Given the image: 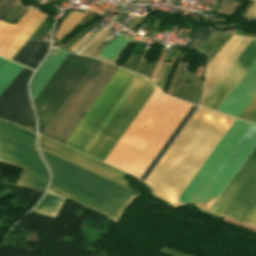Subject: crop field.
I'll return each mask as SVG.
<instances>
[{"instance_id":"4a817a6b","label":"crop field","mask_w":256,"mask_h":256,"mask_svg":"<svg viewBox=\"0 0 256 256\" xmlns=\"http://www.w3.org/2000/svg\"><path fill=\"white\" fill-rule=\"evenodd\" d=\"M176 64L173 63H164V66L162 68V71L156 81V85H158L164 92L166 91L169 81L171 78V75L173 73L174 67Z\"/></svg>"},{"instance_id":"733c2abd","label":"crop field","mask_w":256,"mask_h":256,"mask_svg":"<svg viewBox=\"0 0 256 256\" xmlns=\"http://www.w3.org/2000/svg\"><path fill=\"white\" fill-rule=\"evenodd\" d=\"M129 40L128 36L124 34H120L118 37H116L109 45H107L100 53L99 55L111 61L113 57L120 51V49L127 43ZM122 50V49H121ZM116 57V56H115ZM114 57V58H115Z\"/></svg>"},{"instance_id":"22f410ed","label":"crop field","mask_w":256,"mask_h":256,"mask_svg":"<svg viewBox=\"0 0 256 256\" xmlns=\"http://www.w3.org/2000/svg\"><path fill=\"white\" fill-rule=\"evenodd\" d=\"M66 55L67 53L55 49L50 51L48 57L31 80L30 89L33 101L39 95Z\"/></svg>"},{"instance_id":"d8731c3e","label":"crop field","mask_w":256,"mask_h":256,"mask_svg":"<svg viewBox=\"0 0 256 256\" xmlns=\"http://www.w3.org/2000/svg\"><path fill=\"white\" fill-rule=\"evenodd\" d=\"M94 60L68 53L34 102L40 134Z\"/></svg>"},{"instance_id":"92a150f3","label":"crop field","mask_w":256,"mask_h":256,"mask_svg":"<svg viewBox=\"0 0 256 256\" xmlns=\"http://www.w3.org/2000/svg\"><path fill=\"white\" fill-rule=\"evenodd\" d=\"M239 119H243L246 121L256 123V98L246 108V110L241 114Z\"/></svg>"},{"instance_id":"214f88e0","label":"crop field","mask_w":256,"mask_h":256,"mask_svg":"<svg viewBox=\"0 0 256 256\" xmlns=\"http://www.w3.org/2000/svg\"><path fill=\"white\" fill-rule=\"evenodd\" d=\"M239 2L235 0H223L216 12L231 15L241 5L242 2Z\"/></svg>"},{"instance_id":"ac0d7876","label":"crop field","mask_w":256,"mask_h":256,"mask_svg":"<svg viewBox=\"0 0 256 256\" xmlns=\"http://www.w3.org/2000/svg\"><path fill=\"white\" fill-rule=\"evenodd\" d=\"M233 121L199 108L147 179L155 194L174 204Z\"/></svg>"},{"instance_id":"bc2a9ffb","label":"crop field","mask_w":256,"mask_h":256,"mask_svg":"<svg viewBox=\"0 0 256 256\" xmlns=\"http://www.w3.org/2000/svg\"><path fill=\"white\" fill-rule=\"evenodd\" d=\"M211 32L212 30L199 26L193 36L190 47L197 50Z\"/></svg>"},{"instance_id":"3316defc","label":"crop field","mask_w":256,"mask_h":256,"mask_svg":"<svg viewBox=\"0 0 256 256\" xmlns=\"http://www.w3.org/2000/svg\"><path fill=\"white\" fill-rule=\"evenodd\" d=\"M24 67L0 58V95ZM32 70L25 68L0 96V118L26 126L34 117L27 94V81Z\"/></svg>"},{"instance_id":"34b2d1b8","label":"crop field","mask_w":256,"mask_h":256,"mask_svg":"<svg viewBox=\"0 0 256 256\" xmlns=\"http://www.w3.org/2000/svg\"><path fill=\"white\" fill-rule=\"evenodd\" d=\"M190 107L157 88L105 163L139 179Z\"/></svg>"},{"instance_id":"dafd665d","label":"crop field","mask_w":256,"mask_h":256,"mask_svg":"<svg viewBox=\"0 0 256 256\" xmlns=\"http://www.w3.org/2000/svg\"><path fill=\"white\" fill-rule=\"evenodd\" d=\"M93 33H95V32H93L92 30L89 31L86 35H84L82 38H80L78 41H76L68 50L74 52V51L76 50V48H77L82 42H84L90 35H92Z\"/></svg>"},{"instance_id":"28ad6ade","label":"crop field","mask_w":256,"mask_h":256,"mask_svg":"<svg viewBox=\"0 0 256 256\" xmlns=\"http://www.w3.org/2000/svg\"><path fill=\"white\" fill-rule=\"evenodd\" d=\"M39 146L41 149L52 153L62 159H65L73 164H76L82 168H85L93 173H96L104 178H107L113 182H116L124 187L130 185L127 180L126 174L110 168L104 164L94 161L88 157L78 154L72 150L62 147L56 143L46 140L39 136Z\"/></svg>"},{"instance_id":"d1516ede","label":"crop field","mask_w":256,"mask_h":256,"mask_svg":"<svg viewBox=\"0 0 256 256\" xmlns=\"http://www.w3.org/2000/svg\"><path fill=\"white\" fill-rule=\"evenodd\" d=\"M15 1L16 0H0V18ZM38 14L39 12L29 9L17 25L0 21V56L5 53Z\"/></svg>"},{"instance_id":"dd49c442","label":"crop field","mask_w":256,"mask_h":256,"mask_svg":"<svg viewBox=\"0 0 256 256\" xmlns=\"http://www.w3.org/2000/svg\"><path fill=\"white\" fill-rule=\"evenodd\" d=\"M40 152L52 173L50 189L104 214L116 223L133 200L141 195L129 186L124 188L41 149Z\"/></svg>"},{"instance_id":"e52e79f7","label":"crop field","mask_w":256,"mask_h":256,"mask_svg":"<svg viewBox=\"0 0 256 256\" xmlns=\"http://www.w3.org/2000/svg\"><path fill=\"white\" fill-rule=\"evenodd\" d=\"M0 163L23 168L17 186L44 191L48 173L34 134L0 121Z\"/></svg>"},{"instance_id":"cbeb9de0","label":"crop field","mask_w":256,"mask_h":256,"mask_svg":"<svg viewBox=\"0 0 256 256\" xmlns=\"http://www.w3.org/2000/svg\"><path fill=\"white\" fill-rule=\"evenodd\" d=\"M48 43L27 41L20 51L14 56L12 61L22 64L31 69H36L48 51Z\"/></svg>"},{"instance_id":"f4fd0767","label":"crop field","mask_w":256,"mask_h":256,"mask_svg":"<svg viewBox=\"0 0 256 256\" xmlns=\"http://www.w3.org/2000/svg\"><path fill=\"white\" fill-rule=\"evenodd\" d=\"M255 146L256 125L235 119L173 207L209 211Z\"/></svg>"},{"instance_id":"d9b57169","label":"crop field","mask_w":256,"mask_h":256,"mask_svg":"<svg viewBox=\"0 0 256 256\" xmlns=\"http://www.w3.org/2000/svg\"><path fill=\"white\" fill-rule=\"evenodd\" d=\"M196 106L192 105V107L189 109V111L187 112V114L184 116V118L181 120V122L179 123V125L176 127V129L174 130V132L171 134V136L169 137V139L166 141V143L163 145V147L161 148V150L158 152V154L156 155V157L153 159V161L151 162V164L148 166V168L145 170V172L143 173V175L140 177V180L144 181V179L147 177V175L150 173V171L152 170V168L155 166V164L158 162V160L161 158V156L163 155V153L166 151V149L169 147V145L171 144V142L174 140V138L177 136V134L179 133V131L182 129V127L185 125V123L188 121V119L190 118V116L193 114V112L196 110ZM154 169V168H153ZM146 180V179H145Z\"/></svg>"},{"instance_id":"412701ff","label":"crop field","mask_w":256,"mask_h":256,"mask_svg":"<svg viewBox=\"0 0 256 256\" xmlns=\"http://www.w3.org/2000/svg\"><path fill=\"white\" fill-rule=\"evenodd\" d=\"M252 39L232 35L207 66L204 96L213 88ZM256 62V39L247 46L233 65L202 101L201 106L216 111L243 76ZM256 96V63L231 92L217 112L238 118Z\"/></svg>"},{"instance_id":"5142ce71","label":"crop field","mask_w":256,"mask_h":256,"mask_svg":"<svg viewBox=\"0 0 256 256\" xmlns=\"http://www.w3.org/2000/svg\"><path fill=\"white\" fill-rule=\"evenodd\" d=\"M65 201L66 198L49 190L42 202L33 210V212L55 218Z\"/></svg>"},{"instance_id":"8a807250","label":"crop field","mask_w":256,"mask_h":256,"mask_svg":"<svg viewBox=\"0 0 256 256\" xmlns=\"http://www.w3.org/2000/svg\"><path fill=\"white\" fill-rule=\"evenodd\" d=\"M117 70L95 60L42 135L64 144ZM156 88L119 68L65 145L104 162Z\"/></svg>"},{"instance_id":"5a996713","label":"crop field","mask_w":256,"mask_h":256,"mask_svg":"<svg viewBox=\"0 0 256 256\" xmlns=\"http://www.w3.org/2000/svg\"><path fill=\"white\" fill-rule=\"evenodd\" d=\"M256 211V147L210 209L247 224ZM256 226V213L248 222Z\"/></svg>"}]
</instances>
